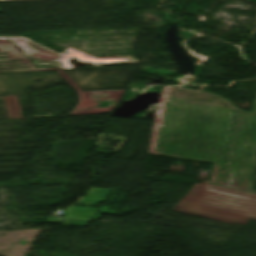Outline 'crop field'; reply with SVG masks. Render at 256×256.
Wrapping results in <instances>:
<instances>
[{"mask_svg":"<svg viewBox=\"0 0 256 256\" xmlns=\"http://www.w3.org/2000/svg\"><path fill=\"white\" fill-rule=\"evenodd\" d=\"M172 210L246 224L249 219L256 220V194L202 183L195 185Z\"/></svg>","mask_w":256,"mask_h":256,"instance_id":"8a807250","label":"crop field"},{"mask_svg":"<svg viewBox=\"0 0 256 256\" xmlns=\"http://www.w3.org/2000/svg\"><path fill=\"white\" fill-rule=\"evenodd\" d=\"M166 104L183 106L191 109L207 110V111H215V112H223V113H227L228 111V108H225V107H219V106H213V105H207V104H201V103H195V102H189V101H183V100H177V99H171V98L167 99ZM238 116L239 114L237 113L228 164L213 162L215 155H212V154L157 147L159 135L161 132L160 131L161 126H154L153 128L149 154L175 157V158H181L186 160L213 162L214 165H213L212 174H211V182H208V183L256 193L255 191H252L254 180L241 178L245 156H246L249 133L247 135V141H246V147L244 152L240 178L227 176Z\"/></svg>","mask_w":256,"mask_h":256,"instance_id":"ac0d7876","label":"crop field"},{"mask_svg":"<svg viewBox=\"0 0 256 256\" xmlns=\"http://www.w3.org/2000/svg\"><path fill=\"white\" fill-rule=\"evenodd\" d=\"M2 1H25V0H0V2Z\"/></svg>","mask_w":256,"mask_h":256,"instance_id":"34b2d1b8","label":"crop field"},{"mask_svg":"<svg viewBox=\"0 0 256 256\" xmlns=\"http://www.w3.org/2000/svg\"><path fill=\"white\" fill-rule=\"evenodd\" d=\"M1 11V10H0Z\"/></svg>","mask_w":256,"mask_h":256,"instance_id":"412701ff","label":"crop field"}]
</instances>
